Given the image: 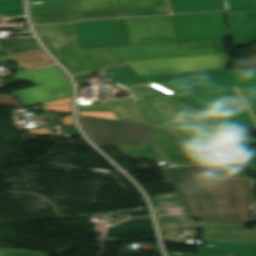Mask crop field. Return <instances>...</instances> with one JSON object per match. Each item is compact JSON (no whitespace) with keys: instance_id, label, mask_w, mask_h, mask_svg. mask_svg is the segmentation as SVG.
I'll return each instance as SVG.
<instances>
[{"instance_id":"8a807250","label":"crop field","mask_w":256,"mask_h":256,"mask_svg":"<svg viewBox=\"0 0 256 256\" xmlns=\"http://www.w3.org/2000/svg\"><path fill=\"white\" fill-rule=\"evenodd\" d=\"M165 184L173 183L180 191L193 218L255 223L250 216L251 182L239 180H206L207 165L161 169ZM204 176L202 180L199 176Z\"/></svg>"},{"instance_id":"ac0d7876","label":"crop field","mask_w":256,"mask_h":256,"mask_svg":"<svg viewBox=\"0 0 256 256\" xmlns=\"http://www.w3.org/2000/svg\"><path fill=\"white\" fill-rule=\"evenodd\" d=\"M35 29L52 54L73 74L124 64L109 47L81 50L75 23Z\"/></svg>"},{"instance_id":"34b2d1b8","label":"crop field","mask_w":256,"mask_h":256,"mask_svg":"<svg viewBox=\"0 0 256 256\" xmlns=\"http://www.w3.org/2000/svg\"><path fill=\"white\" fill-rule=\"evenodd\" d=\"M18 81H30L36 84L32 88L13 93L24 106H32L72 95L71 83L58 66L19 73L12 84Z\"/></svg>"},{"instance_id":"412701ff","label":"crop field","mask_w":256,"mask_h":256,"mask_svg":"<svg viewBox=\"0 0 256 256\" xmlns=\"http://www.w3.org/2000/svg\"><path fill=\"white\" fill-rule=\"evenodd\" d=\"M111 48L123 61L225 53L224 38Z\"/></svg>"},{"instance_id":"f4fd0767","label":"crop field","mask_w":256,"mask_h":256,"mask_svg":"<svg viewBox=\"0 0 256 256\" xmlns=\"http://www.w3.org/2000/svg\"><path fill=\"white\" fill-rule=\"evenodd\" d=\"M79 121L88 136L99 146H142V141H154L152 126L82 116H79Z\"/></svg>"},{"instance_id":"dd49c442","label":"crop field","mask_w":256,"mask_h":256,"mask_svg":"<svg viewBox=\"0 0 256 256\" xmlns=\"http://www.w3.org/2000/svg\"><path fill=\"white\" fill-rule=\"evenodd\" d=\"M228 56L229 55L227 54H219L179 58H165L128 62L127 65L138 76H144L154 74L225 68Z\"/></svg>"},{"instance_id":"e52e79f7","label":"crop field","mask_w":256,"mask_h":256,"mask_svg":"<svg viewBox=\"0 0 256 256\" xmlns=\"http://www.w3.org/2000/svg\"><path fill=\"white\" fill-rule=\"evenodd\" d=\"M162 233L180 232L181 228H203V239L256 243L255 230H246L244 224L201 221L159 223Z\"/></svg>"},{"instance_id":"d8731c3e","label":"crop field","mask_w":256,"mask_h":256,"mask_svg":"<svg viewBox=\"0 0 256 256\" xmlns=\"http://www.w3.org/2000/svg\"><path fill=\"white\" fill-rule=\"evenodd\" d=\"M132 45L178 41L170 16L125 19Z\"/></svg>"},{"instance_id":"5a996713","label":"crop field","mask_w":256,"mask_h":256,"mask_svg":"<svg viewBox=\"0 0 256 256\" xmlns=\"http://www.w3.org/2000/svg\"><path fill=\"white\" fill-rule=\"evenodd\" d=\"M74 12L119 7L117 0H70Z\"/></svg>"},{"instance_id":"3316defc","label":"crop field","mask_w":256,"mask_h":256,"mask_svg":"<svg viewBox=\"0 0 256 256\" xmlns=\"http://www.w3.org/2000/svg\"><path fill=\"white\" fill-rule=\"evenodd\" d=\"M33 24H45V23H59L73 21V12H62V13H40L30 14Z\"/></svg>"},{"instance_id":"28ad6ade","label":"crop field","mask_w":256,"mask_h":256,"mask_svg":"<svg viewBox=\"0 0 256 256\" xmlns=\"http://www.w3.org/2000/svg\"><path fill=\"white\" fill-rule=\"evenodd\" d=\"M121 10L166 4L165 0H118Z\"/></svg>"},{"instance_id":"d1516ede","label":"crop field","mask_w":256,"mask_h":256,"mask_svg":"<svg viewBox=\"0 0 256 256\" xmlns=\"http://www.w3.org/2000/svg\"><path fill=\"white\" fill-rule=\"evenodd\" d=\"M76 14L78 19H96V18L122 16L120 12V8L101 10V11H92V12H81Z\"/></svg>"},{"instance_id":"22f410ed","label":"crop field","mask_w":256,"mask_h":256,"mask_svg":"<svg viewBox=\"0 0 256 256\" xmlns=\"http://www.w3.org/2000/svg\"><path fill=\"white\" fill-rule=\"evenodd\" d=\"M79 115L118 121L112 112H79Z\"/></svg>"},{"instance_id":"cbeb9de0","label":"crop field","mask_w":256,"mask_h":256,"mask_svg":"<svg viewBox=\"0 0 256 256\" xmlns=\"http://www.w3.org/2000/svg\"><path fill=\"white\" fill-rule=\"evenodd\" d=\"M0 256H45L42 254L18 252L12 250H0Z\"/></svg>"},{"instance_id":"5142ce71","label":"crop field","mask_w":256,"mask_h":256,"mask_svg":"<svg viewBox=\"0 0 256 256\" xmlns=\"http://www.w3.org/2000/svg\"><path fill=\"white\" fill-rule=\"evenodd\" d=\"M245 149L251 155L250 160H256V146L255 147H248V148H245ZM255 165H256V162H250L248 170H251L252 173H256V166Z\"/></svg>"},{"instance_id":"d9b57169","label":"crop field","mask_w":256,"mask_h":256,"mask_svg":"<svg viewBox=\"0 0 256 256\" xmlns=\"http://www.w3.org/2000/svg\"><path fill=\"white\" fill-rule=\"evenodd\" d=\"M163 241L167 243H183L188 244V239H179L178 235H162Z\"/></svg>"},{"instance_id":"733c2abd","label":"crop field","mask_w":256,"mask_h":256,"mask_svg":"<svg viewBox=\"0 0 256 256\" xmlns=\"http://www.w3.org/2000/svg\"><path fill=\"white\" fill-rule=\"evenodd\" d=\"M44 108H45V111L71 113V106H54V107H44Z\"/></svg>"},{"instance_id":"4a817a6b","label":"crop field","mask_w":256,"mask_h":256,"mask_svg":"<svg viewBox=\"0 0 256 256\" xmlns=\"http://www.w3.org/2000/svg\"><path fill=\"white\" fill-rule=\"evenodd\" d=\"M72 103V96L71 97H67L64 99H60V100H56L53 102H49V103H45L43 105H51V104H71Z\"/></svg>"},{"instance_id":"bc2a9ffb","label":"crop field","mask_w":256,"mask_h":256,"mask_svg":"<svg viewBox=\"0 0 256 256\" xmlns=\"http://www.w3.org/2000/svg\"><path fill=\"white\" fill-rule=\"evenodd\" d=\"M29 134H53L52 129L29 130Z\"/></svg>"},{"instance_id":"214f88e0","label":"crop field","mask_w":256,"mask_h":256,"mask_svg":"<svg viewBox=\"0 0 256 256\" xmlns=\"http://www.w3.org/2000/svg\"><path fill=\"white\" fill-rule=\"evenodd\" d=\"M215 178L214 168L212 165H208L207 179Z\"/></svg>"},{"instance_id":"92a150f3","label":"crop field","mask_w":256,"mask_h":256,"mask_svg":"<svg viewBox=\"0 0 256 256\" xmlns=\"http://www.w3.org/2000/svg\"><path fill=\"white\" fill-rule=\"evenodd\" d=\"M63 119L65 125L74 126L71 116H63Z\"/></svg>"},{"instance_id":"dafd665d","label":"crop field","mask_w":256,"mask_h":256,"mask_svg":"<svg viewBox=\"0 0 256 256\" xmlns=\"http://www.w3.org/2000/svg\"><path fill=\"white\" fill-rule=\"evenodd\" d=\"M15 31H29L28 28L14 29Z\"/></svg>"},{"instance_id":"00972430","label":"crop field","mask_w":256,"mask_h":256,"mask_svg":"<svg viewBox=\"0 0 256 256\" xmlns=\"http://www.w3.org/2000/svg\"><path fill=\"white\" fill-rule=\"evenodd\" d=\"M21 35H31L30 33H21Z\"/></svg>"},{"instance_id":"a9b5d70f","label":"crop field","mask_w":256,"mask_h":256,"mask_svg":"<svg viewBox=\"0 0 256 256\" xmlns=\"http://www.w3.org/2000/svg\"><path fill=\"white\" fill-rule=\"evenodd\" d=\"M15 20H19V19H15Z\"/></svg>"}]
</instances>
